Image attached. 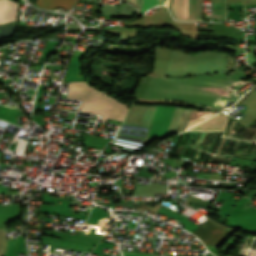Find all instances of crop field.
<instances>
[{
  "label": "crop field",
  "instance_id": "8",
  "mask_svg": "<svg viewBox=\"0 0 256 256\" xmlns=\"http://www.w3.org/2000/svg\"><path fill=\"white\" fill-rule=\"evenodd\" d=\"M129 1H132V2L137 3L139 5L141 3V0H129ZM161 1L162 0H143L141 12H143V11H145V10L155 6V5L161 4Z\"/></svg>",
  "mask_w": 256,
  "mask_h": 256
},
{
  "label": "crop field",
  "instance_id": "6",
  "mask_svg": "<svg viewBox=\"0 0 256 256\" xmlns=\"http://www.w3.org/2000/svg\"><path fill=\"white\" fill-rule=\"evenodd\" d=\"M17 5L14 1L0 0V24L15 20Z\"/></svg>",
  "mask_w": 256,
  "mask_h": 256
},
{
  "label": "crop field",
  "instance_id": "10",
  "mask_svg": "<svg viewBox=\"0 0 256 256\" xmlns=\"http://www.w3.org/2000/svg\"><path fill=\"white\" fill-rule=\"evenodd\" d=\"M123 256H152L149 254H142V253H136V252H121Z\"/></svg>",
  "mask_w": 256,
  "mask_h": 256
},
{
  "label": "crop field",
  "instance_id": "9",
  "mask_svg": "<svg viewBox=\"0 0 256 256\" xmlns=\"http://www.w3.org/2000/svg\"><path fill=\"white\" fill-rule=\"evenodd\" d=\"M212 115H214V113H212V112H196V111L192 110L190 116L202 121Z\"/></svg>",
  "mask_w": 256,
  "mask_h": 256
},
{
  "label": "crop field",
  "instance_id": "7",
  "mask_svg": "<svg viewBox=\"0 0 256 256\" xmlns=\"http://www.w3.org/2000/svg\"><path fill=\"white\" fill-rule=\"evenodd\" d=\"M77 0H36V4L40 7L55 9L63 7L67 10L76 3Z\"/></svg>",
  "mask_w": 256,
  "mask_h": 256
},
{
  "label": "crop field",
  "instance_id": "11",
  "mask_svg": "<svg viewBox=\"0 0 256 256\" xmlns=\"http://www.w3.org/2000/svg\"><path fill=\"white\" fill-rule=\"evenodd\" d=\"M230 256V255H229Z\"/></svg>",
  "mask_w": 256,
  "mask_h": 256
},
{
  "label": "crop field",
  "instance_id": "3",
  "mask_svg": "<svg viewBox=\"0 0 256 256\" xmlns=\"http://www.w3.org/2000/svg\"><path fill=\"white\" fill-rule=\"evenodd\" d=\"M44 234L64 238L67 240L52 239V238L43 236L42 238L43 245H52V246H57L61 248L74 249V250L83 251L87 253H89L91 248L100 241L99 239H94V238L81 236V235H67V234H61V233L49 232V231H45Z\"/></svg>",
  "mask_w": 256,
  "mask_h": 256
},
{
  "label": "crop field",
  "instance_id": "4",
  "mask_svg": "<svg viewBox=\"0 0 256 256\" xmlns=\"http://www.w3.org/2000/svg\"><path fill=\"white\" fill-rule=\"evenodd\" d=\"M193 234L204 243L216 246L230 233L224 227L208 219Z\"/></svg>",
  "mask_w": 256,
  "mask_h": 256
},
{
  "label": "crop field",
  "instance_id": "5",
  "mask_svg": "<svg viewBox=\"0 0 256 256\" xmlns=\"http://www.w3.org/2000/svg\"><path fill=\"white\" fill-rule=\"evenodd\" d=\"M226 124H227V116L220 114L190 130H203V131L224 130Z\"/></svg>",
  "mask_w": 256,
  "mask_h": 256
},
{
  "label": "crop field",
  "instance_id": "2",
  "mask_svg": "<svg viewBox=\"0 0 256 256\" xmlns=\"http://www.w3.org/2000/svg\"><path fill=\"white\" fill-rule=\"evenodd\" d=\"M180 108L170 106H157L149 130L148 137L174 132L180 113Z\"/></svg>",
  "mask_w": 256,
  "mask_h": 256
},
{
  "label": "crop field",
  "instance_id": "1",
  "mask_svg": "<svg viewBox=\"0 0 256 256\" xmlns=\"http://www.w3.org/2000/svg\"><path fill=\"white\" fill-rule=\"evenodd\" d=\"M68 87L77 88L75 98L82 100L81 111L102 114L101 121L107 118L122 121L128 107L113 99L105 92L89 87L87 82L70 83Z\"/></svg>",
  "mask_w": 256,
  "mask_h": 256
}]
</instances>
